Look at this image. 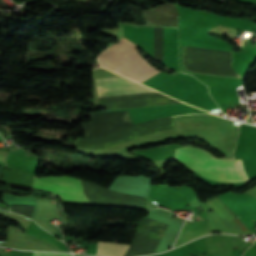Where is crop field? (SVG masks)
Returning a JSON list of instances; mask_svg holds the SVG:
<instances>
[{
  "mask_svg": "<svg viewBox=\"0 0 256 256\" xmlns=\"http://www.w3.org/2000/svg\"><path fill=\"white\" fill-rule=\"evenodd\" d=\"M175 159L189 170L212 178L248 180L242 161L237 159H216L205 151L194 147L175 149Z\"/></svg>",
  "mask_w": 256,
  "mask_h": 256,
  "instance_id": "obj_1",
  "label": "crop field"
},
{
  "mask_svg": "<svg viewBox=\"0 0 256 256\" xmlns=\"http://www.w3.org/2000/svg\"><path fill=\"white\" fill-rule=\"evenodd\" d=\"M98 56L100 64L139 83L160 72L148 64L132 42L121 39Z\"/></svg>",
  "mask_w": 256,
  "mask_h": 256,
  "instance_id": "obj_2",
  "label": "crop field"
},
{
  "mask_svg": "<svg viewBox=\"0 0 256 256\" xmlns=\"http://www.w3.org/2000/svg\"><path fill=\"white\" fill-rule=\"evenodd\" d=\"M32 187L54 191L63 201L90 203L83 195L80 180L73 177H35Z\"/></svg>",
  "mask_w": 256,
  "mask_h": 256,
  "instance_id": "obj_3",
  "label": "crop field"
},
{
  "mask_svg": "<svg viewBox=\"0 0 256 256\" xmlns=\"http://www.w3.org/2000/svg\"><path fill=\"white\" fill-rule=\"evenodd\" d=\"M99 97L155 92L124 77L96 79Z\"/></svg>",
  "mask_w": 256,
  "mask_h": 256,
  "instance_id": "obj_4",
  "label": "crop field"
},
{
  "mask_svg": "<svg viewBox=\"0 0 256 256\" xmlns=\"http://www.w3.org/2000/svg\"><path fill=\"white\" fill-rule=\"evenodd\" d=\"M129 245L114 244L98 241L97 254L106 256H123Z\"/></svg>",
  "mask_w": 256,
  "mask_h": 256,
  "instance_id": "obj_5",
  "label": "crop field"
},
{
  "mask_svg": "<svg viewBox=\"0 0 256 256\" xmlns=\"http://www.w3.org/2000/svg\"><path fill=\"white\" fill-rule=\"evenodd\" d=\"M33 256H71V254L33 252Z\"/></svg>",
  "mask_w": 256,
  "mask_h": 256,
  "instance_id": "obj_6",
  "label": "crop field"
}]
</instances>
